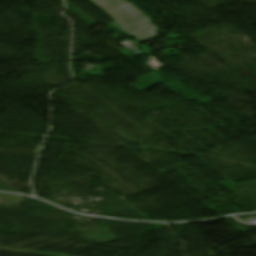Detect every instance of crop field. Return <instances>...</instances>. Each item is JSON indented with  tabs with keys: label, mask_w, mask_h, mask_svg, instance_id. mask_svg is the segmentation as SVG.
Returning <instances> with one entry per match:
<instances>
[{
	"label": "crop field",
	"mask_w": 256,
	"mask_h": 256,
	"mask_svg": "<svg viewBox=\"0 0 256 256\" xmlns=\"http://www.w3.org/2000/svg\"><path fill=\"white\" fill-rule=\"evenodd\" d=\"M116 22L114 28L126 32L143 42L155 37L158 28L144 13L126 0H90Z\"/></svg>",
	"instance_id": "obj_1"
},
{
	"label": "crop field",
	"mask_w": 256,
	"mask_h": 256,
	"mask_svg": "<svg viewBox=\"0 0 256 256\" xmlns=\"http://www.w3.org/2000/svg\"><path fill=\"white\" fill-rule=\"evenodd\" d=\"M152 61L144 63L145 65H147L148 67L156 70L159 69L161 66L158 64V62L154 59L153 56L150 57Z\"/></svg>",
	"instance_id": "obj_2"
}]
</instances>
